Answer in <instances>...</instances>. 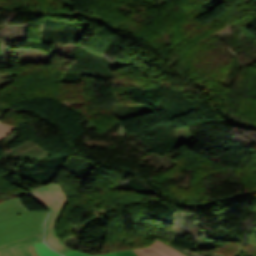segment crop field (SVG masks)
I'll use <instances>...</instances> for the list:
<instances>
[{
    "instance_id": "crop-field-1",
    "label": "crop field",
    "mask_w": 256,
    "mask_h": 256,
    "mask_svg": "<svg viewBox=\"0 0 256 256\" xmlns=\"http://www.w3.org/2000/svg\"><path fill=\"white\" fill-rule=\"evenodd\" d=\"M47 213L31 212L19 197L1 202L0 245L42 233Z\"/></svg>"
},
{
    "instance_id": "crop-field-2",
    "label": "crop field",
    "mask_w": 256,
    "mask_h": 256,
    "mask_svg": "<svg viewBox=\"0 0 256 256\" xmlns=\"http://www.w3.org/2000/svg\"><path fill=\"white\" fill-rule=\"evenodd\" d=\"M32 196L50 211L45 229V243L57 250L59 253L71 251L69 247L62 244L55 230L57 219L67 201L62 188L58 183L45 187H38L31 191Z\"/></svg>"
},
{
    "instance_id": "crop-field-3",
    "label": "crop field",
    "mask_w": 256,
    "mask_h": 256,
    "mask_svg": "<svg viewBox=\"0 0 256 256\" xmlns=\"http://www.w3.org/2000/svg\"><path fill=\"white\" fill-rule=\"evenodd\" d=\"M43 233L0 246V256H36L32 244L40 243Z\"/></svg>"
},
{
    "instance_id": "crop-field-4",
    "label": "crop field",
    "mask_w": 256,
    "mask_h": 256,
    "mask_svg": "<svg viewBox=\"0 0 256 256\" xmlns=\"http://www.w3.org/2000/svg\"><path fill=\"white\" fill-rule=\"evenodd\" d=\"M139 256H184L171 247L155 241L148 247L136 250Z\"/></svg>"
},
{
    "instance_id": "crop-field-5",
    "label": "crop field",
    "mask_w": 256,
    "mask_h": 256,
    "mask_svg": "<svg viewBox=\"0 0 256 256\" xmlns=\"http://www.w3.org/2000/svg\"><path fill=\"white\" fill-rule=\"evenodd\" d=\"M63 255L64 256H93V255L81 253V252H78V251L68 252V253H65ZM96 256H137V255L133 250H128V251H121V252L104 254V255H96Z\"/></svg>"
},
{
    "instance_id": "crop-field-6",
    "label": "crop field",
    "mask_w": 256,
    "mask_h": 256,
    "mask_svg": "<svg viewBox=\"0 0 256 256\" xmlns=\"http://www.w3.org/2000/svg\"><path fill=\"white\" fill-rule=\"evenodd\" d=\"M35 254L37 256H60L58 253L51 250L45 243L33 245Z\"/></svg>"
},
{
    "instance_id": "crop-field-7",
    "label": "crop field",
    "mask_w": 256,
    "mask_h": 256,
    "mask_svg": "<svg viewBox=\"0 0 256 256\" xmlns=\"http://www.w3.org/2000/svg\"><path fill=\"white\" fill-rule=\"evenodd\" d=\"M14 128L15 126H11L0 122V139H2L5 135L11 132Z\"/></svg>"
},
{
    "instance_id": "crop-field-8",
    "label": "crop field",
    "mask_w": 256,
    "mask_h": 256,
    "mask_svg": "<svg viewBox=\"0 0 256 256\" xmlns=\"http://www.w3.org/2000/svg\"><path fill=\"white\" fill-rule=\"evenodd\" d=\"M158 241V240H157ZM161 242V241H160ZM166 244V243H165ZM169 245V244H167ZM172 245V244H171ZM169 245V246H171ZM172 248H174L175 250L179 251L180 253L186 255V256H202V255H199L195 252H191V251H188V250H185V249H181V248H178V247H174V246H171Z\"/></svg>"
}]
</instances>
